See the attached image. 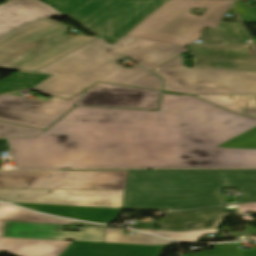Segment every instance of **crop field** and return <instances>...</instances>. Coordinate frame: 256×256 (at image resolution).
<instances>
[{
	"mask_svg": "<svg viewBox=\"0 0 256 256\" xmlns=\"http://www.w3.org/2000/svg\"><path fill=\"white\" fill-rule=\"evenodd\" d=\"M8 143L16 168H256V149L208 147L179 127L96 125Z\"/></svg>",
	"mask_w": 256,
	"mask_h": 256,
	"instance_id": "8a807250",
	"label": "crop field"
},
{
	"mask_svg": "<svg viewBox=\"0 0 256 256\" xmlns=\"http://www.w3.org/2000/svg\"><path fill=\"white\" fill-rule=\"evenodd\" d=\"M186 48L124 36L112 46L97 38L61 59L37 70L52 77L31 90L68 99L96 81L161 90L160 79L133 65L115 61L128 57L151 70L185 52Z\"/></svg>",
	"mask_w": 256,
	"mask_h": 256,
	"instance_id": "ac0d7876",
	"label": "crop field"
},
{
	"mask_svg": "<svg viewBox=\"0 0 256 256\" xmlns=\"http://www.w3.org/2000/svg\"><path fill=\"white\" fill-rule=\"evenodd\" d=\"M96 124L180 126L208 146H216L255 127L256 119L237 115L194 96L164 95L159 111L79 107L39 136Z\"/></svg>",
	"mask_w": 256,
	"mask_h": 256,
	"instance_id": "34b2d1b8",
	"label": "crop field"
},
{
	"mask_svg": "<svg viewBox=\"0 0 256 256\" xmlns=\"http://www.w3.org/2000/svg\"><path fill=\"white\" fill-rule=\"evenodd\" d=\"M238 187L256 201V170L129 171L122 210H181L224 204L219 190Z\"/></svg>",
	"mask_w": 256,
	"mask_h": 256,
	"instance_id": "412701ff",
	"label": "crop field"
},
{
	"mask_svg": "<svg viewBox=\"0 0 256 256\" xmlns=\"http://www.w3.org/2000/svg\"><path fill=\"white\" fill-rule=\"evenodd\" d=\"M234 0H169L131 30L128 36L187 47L207 28L228 31L229 37L249 40L240 23L221 21ZM192 8H207L201 16Z\"/></svg>",
	"mask_w": 256,
	"mask_h": 256,
	"instance_id": "f4fd0767",
	"label": "crop field"
},
{
	"mask_svg": "<svg viewBox=\"0 0 256 256\" xmlns=\"http://www.w3.org/2000/svg\"><path fill=\"white\" fill-rule=\"evenodd\" d=\"M46 1L58 7L90 33L103 37L112 45L166 0Z\"/></svg>",
	"mask_w": 256,
	"mask_h": 256,
	"instance_id": "dd49c442",
	"label": "crop field"
},
{
	"mask_svg": "<svg viewBox=\"0 0 256 256\" xmlns=\"http://www.w3.org/2000/svg\"><path fill=\"white\" fill-rule=\"evenodd\" d=\"M164 78L167 91L188 94L256 93V72L187 68L182 56L154 72Z\"/></svg>",
	"mask_w": 256,
	"mask_h": 256,
	"instance_id": "e52e79f7",
	"label": "crop field"
},
{
	"mask_svg": "<svg viewBox=\"0 0 256 256\" xmlns=\"http://www.w3.org/2000/svg\"><path fill=\"white\" fill-rule=\"evenodd\" d=\"M128 171H0V188L124 190Z\"/></svg>",
	"mask_w": 256,
	"mask_h": 256,
	"instance_id": "d8731c3e",
	"label": "crop field"
},
{
	"mask_svg": "<svg viewBox=\"0 0 256 256\" xmlns=\"http://www.w3.org/2000/svg\"><path fill=\"white\" fill-rule=\"evenodd\" d=\"M71 27L50 19L37 20L0 39V69L15 67L69 37L63 34Z\"/></svg>",
	"mask_w": 256,
	"mask_h": 256,
	"instance_id": "5a996713",
	"label": "crop field"
},
{
	"mask_svg": "<svg viewBox=\"0 0 256 256\" xmlns=\"http://www.w3.org/2000/svg\"><path fill=\"white\" fill-rule=\"evenodd\" d=\"M123 195L124 191L0 189V200L6 202L119 209Z\"/></svg>",
	"mask_w": 256,
	"mask_h": 256,
	"instance_id": "3316defc",
	"label": "crop field"
},
{
	"mask_svg": "<svg viewBox=\"0 0 256 256\" xmlns=\"http://www.w3.org/2000/svg\"><path fill=\"white\" fill-rule=\"evenodd\" d=\"M82 93L68 101L52 97L48 102L6 94L0 96V120L45 128L71 109Z\"/></svg>",
	"mask_w": 256,
	"mask_h": 256,
	"instance_id": "28ad6ade",
	"label": "crop field"
},
{
	"mask_svg": "<svg viewBox=\"0 0 256 256\" xmlns=\"http://www.w3.org/2000/svg\"><path fill=\"white\" fill-rule=\"evenodd\" d=\"M190 54L195 67L256 71V49L252 43L191 44Z\"/></svg>",
	"mask_w": 256,
	"mask_h": 256,
	"instance_id": "d1516ede",
	"label": "crop field"
},
{
	"mask_svg": "<svg viewBox=\"0 0 256 256\" xmlns=\"http://www.w3.org/2000/svg\"><path fill=\"white\" fill-rule=\"evenodd\" d=\"M159 92L96 83L83 93L76 105L154 109Z\"/></svg>",
	"mask_w": 256,
	"mask_h": 256,
	"instance_id": "22f410ed",
	"label": "crop field"
},
{
	"mask_svg": "<svg viewBox=\"0 0 256 256\" xmlns=\"http://www.w3.org/2000/svg\"><path fill=\"white\" fill-rule=\"evenodd\" d=\"M63 225L5 222L3 236L103 242L104 227H84L81 232L62 231Z\"/></svg>",
	"mask_w": 256,
	"mask_h": 256,
	"instance_id": "cbeb9de0",
	"label": "crop field"
},
{
	"mask_svg": "<svg viewBox=\"0 0 256 256\" xmlns=\"http://www.w3.org/2000/svg\"><path fill=\"white\" fill-rule=\"evenodd\" d=\"M63 16L38 0H7L0 5V37L37 19Z\"/></svg>",
	"mask_w": 256,
	"mask_h": 256,
	"instance_id": "5142ce71",
	"label": "crop field"
},
{
	"mask_svg": "<svg viewBox=\"0 0 256 256\" xmlns=\"http://www.w3.org/2000/svg\"><path fill=\"white\" fill-rule=\"evenodd\" d=\"M164 246L72 242L60 256H158Z\"/></svg>",
	"mask_w": 256,
	"mask_h": 256,
	"instance_id": "d9b57169",
	"label": "crop field"
},
{
	"mask_svg": "<svg viewBox=\"0 0 256 256\" xmlns=\"http://www.w3.org/2000/svg\"><path fill=\"white\" fill-rule=\"evenodd\" d=\"M69 241L0 237V251L16 256H59Z\"/></svg>",
	"mask_w": 256,
	"mask_h": 256,
	"instance_id": "733c2abd",
	"label": "crop field"
},
{
	"mask_svg": "<svg viewBox=\"0 0 256 256\" xmlns=\"http://www.w3.org/2000/svg\"><path fill=\"white\" fill-rule=\"evenodd\" d=\"M33 210L44 213L59 215L63 217L108 224L116 219L120 210L106 208H86V207H69V206H53L38 204H19Z\"/></svg>",
	"mask_w": 256,
	"mask_h": 256,
	"instance_id": "4a817a6b",
	"label": "crop field"
},
{
	"mask_svg": "<svg viewBox=\"0 0 256 256\" xmlns=\"http://www.w3.org/2000/svg\"><path fill=\"white\" fill-rule=\"evenodd\" d=\"M238 212L237 209L225 210L222 207L203 208L190 211L165 213V217L160 222L163 230L180 231L184 222L190 220L223 218L225 215Z\"/></svg>",
	"mask_w": 256,
	"mask_h": 256,
	"instance_id": "bc2a9ffb",
	"label": "crop field"
},
{
	"mask_svg": "<svg viewBox=\"0 0 256 256\" xmlns=\"http://www.w3.org/2000/svg\"><path fill=\"white\" fill-rule=\"evenodd\" d=\"M97 37H88L82 33L54 46L45 53L25 62L17 67V69L35 71L59 58L79 48Z\"/></svg>",
	"mask_w": 256,
	"mask_h": 256,
	"instance_id": "214f88e0",
	"label": "crop field"
},
{
	"mask_svg": "<svg viewBox=\"0 0 256 256\" xmlns=\"http://www.w3.org/2000/svg\"><path fill=\"white\" fill-rule=\"evenodd\" d=\"M4 221L71 224L72 221L47 217L38 213L25 211L7 204H0V236L3 233Z\"/></svg>",
	"mask_w": 256,
	"mask_h": 256,
	"instance_id": "92a150f3",
	"label": "crop field"
},
{
	"mask_svg": "<svg viewBox=\"0 0 256 256\" xmlns=\"http://www.w3.org/2000/svg\"><path fill=\"white\" fill-rule=\"evenodd\" d=\"M197 96L214 104L228 108L238 114L256 118V95Z\"/></svg>",
	"mask_w": 256,
	"mask_h": 256,
	"instance_id": "dafd665d",
	"label": "crop field"
},
{
	"mask_svg": "<svg viewBox=\"0 0 256 256\" xmlns=\"http://www.w3.org/2000/svg\"><path fill=\"white\" fill-rule=\"evenodd\" d=\"M104 242L112 243H129V244H146V245H162L173 243L172 241L148 236L141 233L134 235H124L122 229H105Z\"/></svg>",
	"mask_w": 256,
	"mask_h": 256,
	"instance_id": "00972430",
	"label": "crop field"
},
{
	"mask_svg": "<svg viewBox=\"0 0 256 256\" xmlns=\"http://www.w3.org/2000/svg\"><path fill=\"white\" fill-rule=\"evenodd\" d=\"M48 76L19 72L9 78L0 81L3 86H15L29 88Z\"/></svg>",
	"mask_w": 256,
	"mask_h": 256,
	"instance_id": "a9b5d70f",
	"label": "crop field"
},
{
	"mask_svg": "<svg viewBox=\"0 0 256 256\" xmlns=\"http://www.w3.org/2000/svg\"><path fill=\"white\" fill-rule=\"evenodd\" d=\"M42 132L44 131L0 122V138L36 137Z\"/></svg>",
	"mask_w": 256,
	"mask_h": 256,
	"instance_id": "4177f3b9",
	"label": "crop field"
},
{
	"mask_svg": "<svg viewBox=\"0 0 256 256\" xmlns=\"http://www.w3.org/2000/svg\"><path fill=\"white\" fill-rule=\"evenodd\" d=\"M229 148H256V127L219 145Z\"/></svg>",
	"mask_w": 256,
	"mask_h": 256,
	"instance_id": "730fd06b",
	"label": "crop field"
},
{
	"mask_svg": "<svg viewBox=\"0 0 256 256\" xmlns=\"http://www.w3.org/2000/svg\"><path fill=\"white\" fill-rule=\"evenodd\" d=\"M233 7L240 15L242 22H256V4H253L252 8H250L235 2Z\"/></svg>",
	"mask_w": 256,
	"mask_h": 256,
	"instance_id": "eef30255",
	"label": "crop field"
},
{
	"mask_svg": "<svg viewBox=\"0 0 256 256\" xmlns=\"http://www.w3.org/2000/svg\"><path fill=\"white\" fill-rule=\"evenodd\" d=\"M222 219L191 221L183 225L181 231L217 228Z\"/></svg>",
	"mask_w": 256,
	"mask_h": 256,
	"instance_id": "ae1a2a85",
	"label": "crop field"
},
{
	"mask_svg": "<svg viewBox=\"0 0 256 256\" xmlns=\"http://www.w3.org/2000/svg\"><path fill=\"white\" fill-rule=\"evenodd\" d=\"M220 32H221V31H214V32H212V30H208V31H206V32L203 34V36H202V38H201L200 40H203L202 43H206V42H209V43H217V42H239V41H240V40L237 41V38H231L232 41H230V38L225 37L226 32H222V36H219ZM211 33H214V34L211 35ZM210 36H212L211 39L209 38ZM217 37H220L219 40L217 39ZM226 38H227V41H225ZM206 39H209V40L206 41ZM215 40H218V41H217V42H214Z\"/></svg>",
	"mask_w": 256,
	"mask_h": 256,
	"instance_id": "d3111659",
	"label": "crop field"
},
{
	"mask_svg": "<svg viewBox=\"0 0 256 256\" xmlns=\"http://www.w3.org/2000/svg\"><path fill=\"white\" fill-rule=\"evenodd\" d=\"M241 211L256 212V203L239 205Z\"/></svg>",
	"mask_w": 256,
	"mask_h": 256,
	"instance_id": "750c4746",
	"label": "crop field"
},
{
	"mask_svg": "<svg viewBox=\"0 0 256 256\" xmlns=\"http://www.w3.org/2000/svg\"><path fill=\"white\" fill-rule=\"evenodd\" d=\"M0 150H8L7 143L5 139L0 140Z\"/></svg>",
	"mask_w": 256,
	"mask_h": 256,
	"instance_id": "bd1437ed",
	"label": "crop field"
},
{
	"mask_svg": "<svg viewBox=\"0 0 256 256\" xmlns=\"http://www.w3.org/2000/svg\"><path fill=\"white\" fill-rule=\"evenodd\" d=\"M13 90H21V89H12V88H2L0 87V94L8 91H13Z\"/></svg>",
	"mask_w": 256,
	"mask_h": 256,
	"instance_id": "1d83c4d3",
	"label": "crop field"
},
{
	"mask_svg": "<svg viewBox=\"0 0 256 256\" xmlns=\"http://www.w3.org/2000/svg\"><path fill=\"white\" fill-rule=\"evenodd\" d=\"M242 256H256V250L254 252H242Z\"/></svg>",
	"mask_w": 256,
	"mask_h": 256,
	"instance_id": "120bbe31",
	"label": "crop field"
},
{
	"mask_svg": "<svg viewBox=\"0 0 256 256\" xmlns=\"http://www.w3.org/2000/svg\"><path fill=\"white\" fill-rule=\"evenodd\" d=\"M74 225H93V224H85V223L74 222ZM97 226H102V225H97Z\"/></svg>",
	"mask_w": 256,
	"mask_h": 256,
	"instance_id": "d32e631a",
	"label": "crop field"
},
{
	"mask_svg": "<svg viewBox=\"0 0 256 256\" xmlns=\"http://www.w3.org/2000/svg\"><path fill=\"white\" fill-rule=\"evenodd\" d=\"M254 42L256 43V40H254Z\"/></svg>",
	"mask_w": 256,
	"mask_h": 256,
	"instance_id": "5866460e",
	"label": "crop field"
}]
</instances>
